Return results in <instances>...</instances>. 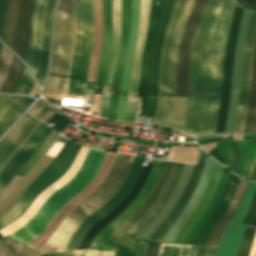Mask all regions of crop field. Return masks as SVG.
Returning a JSON list of instances; mask_svg holds the SVG:
<instances>
[{
    "mask_svg": "<svg viewBox=\"0 0 256 256\" xmlns=\"http://www.w3.org/2000/svg\"><path fill=\"white\" fill-rule=\"evenodd\" d=\"M234 5L209 0L194 37L185 132L215 133L225 46Z\"/></svg>",
    "mask_w": 256,
    "mask_h": 256,
    "instance_id": "obj_1",
    "label": "crop field"
},
{
    "mask_svg": "<svg viewBox=\"0 0 256 256\" xmlns=\"http://www.w3.org/2000/svg\"><path fill=\"white\" fill-rule=\"evenodd\" d=\"M59 0L53 33L52 59L47 82L43 89L46 97L55 100L65 98L83 99L84 87L90 64L94 17L93 0Z\"/></svg>",
    "mask_w": 256,
    "mask_h": 256,
    "instance_id": "obj_2",
    "label": "crop field"
},
{
    "mask_svg": "<svg viewBox=\"0 0 256 256\" xmlns=\"http://www.w3.org/2000/svg\"><path fill=\"white\" fill-rule=\"evenodd\" d=\"M193 4L194 0H174L163 42L158 105L153 125L169 127L175 93L177 49Z\"/></svg>",
    "mask_w": 256,
    "mask_h": 256,
    "instance_id": "obj_3",
    "label": "crop field"
},
{
    "mask_svg": "<svg viewBox=\"0 0 256 256\" xmlns=\"http://www.w3.org/2000/svg\"><path fill=\"white\" fill-rule=\"evenodd\" d=\"M130 157L128 155H116L112 168L102 185L67 215L62 224L60 223L59 228L57 227L58 229L46 243L37 249V252L64 251L79 225L110 200L119 189L131 166Z\"/></svg>",
    "mask_w": 256,
    "mask_h": 256,
    "instance_id": "obj_4",
    "label": "crop field"
},
{
    "mask_svg": "<svg viewBox=\"0 0 256 256\" xmlns=\"http://www.w3.org/2000/svg\"><path fill=\"white\" fill-rule=\"evenodd\" d=\"M81 144L67 140L62 151L51 164L25 189L15 205L0 217V229L24 214L32 201L46 188L60 179L70 168Z\"/></svg>",
    "mask_w": 256,
    "mask_h": 256,
    "instance_id": "obj_5",
    "label": "crop field"
},
{
    "mask_svg": "<svg viewBox=\"0 0 256 256\" xmlns=\"http://www.w3.org/2000/svg\"><path fill=\"white\" fill-rule=\"evenodd\" d=\"M207 0H196L189 20L185 26L177 60L176 97L175 102L187 103L189 61L191 55L192 40L203 14Z\"/></svg>",
    "mask_w": 256,
    "mask_h": 256,
    "instance_id": "obj_6",
    "label": "crop field"
},
{
    "mask_svg": "<svg viewBox=\"0 0 256 256\" xmlns=\"http://www.w3.org/2000/svg\"><path fill=\"white\" fill-rule=\"evenodd\" d=\"M164 163V161H155L154 166L145 185L143 186L139 194L136 196L135 200L131 204H129L117 218H115L113 221H111L98 232L96 237L92 240L89 249H96L109 252L115 251L116 245L112 241H110L106 236L112 233L145 200L150 190L152 189L155 181L157 180Z\"/></svg>",
    "mask_w": 256,
    "mask_h": 256,
    "instance_id": "obj_7",
    "label": "crop field"
},
{
    "mask_svg": "<svg viewBox=\"0 0 256 256\" xmlns=\"http://www.w3.org/2000/svg\"><path fill=\"white\" fill-rule=\"evenodd\" d=\"M243 10H244L243 8H240L237 6L235 8L232 25L229 33V38L226 46L224 68L222 67L223 68L222 88H221L219 110H218V117H217V123H216V133L224 132V128H225L226 113H227V107H228V101H229V95H230L233 57H234L240 18Z\"/></svg>",
    "mask_w": 256,
    "mask_h": 256,
    "instance_id": "obj_8",
    "label": "crop field"
},
{
    "mask_svg": "<svg viewBox=\"0 0 256 256\" xmlns=\"http://www.w3.org/2000/svg\"><path fill=\"white\" fill-rule=\"evenodd\" d=\"M144 160L145 158L141 157L135 158L126 179L124 180L123 184L121 185L117 193L106 205H104L101 209H99L97 212H95L93 215H91L85 220V222L79 227V229L71 238L65 251L77 249L85 233L89 230L90 226L99 219H101L104 215H106L110 210H112L121 202V200L125 197V195L133 186Z\"/></svg>",
    "mask_w": 256,
    "mask_h": 256,
    "instance_id": "obj_9",
    "label": "crop field"
},
{
    "mask_svg": "<svg viewBox=\"0 0 256 256\" xmlns=\"http://www.w3.org/2000/svg\"><path fill=\"white\" fill-rule=\"evenodd\" d=\"M162 2L163 0H153L152 2V8H151V13L149 18L144 52H143L142 69H141V75H140V81H139V87H138V98H142V103H141V99H138L135 115H139L140 103H141L140 115L144 116L145 114L151 50H152V45H153V41H154V37H155L157 25H158Z\"/></svg>",
    "mask_w": 256,
    "mask_h": 256,
    "instance_id": "obj_10",
    "label": "crop field"
},
{
    "mask_svg": "<svg viewBox=\"0 0 256 256\" xmlns=\"http://www.w3.org/2000/svg\"><path fill=\"white\" fill-rule=\"evenodd\" d=\"M173 0H164L161 11L160 21L153 45L152 57H151V69H150V81L148 88V104L145 116L153 117L156 104H157V83H158V71H159V58L160 48L166 26L168 23Z\"/></svg>",
    "mask_w": 256,
    "mask_h": 256,
    "instance_id": "obj_11",
    "label": "crop field"
},
{
    "mask_svg": "<svg viewBox=\"0 0 256 256\" xmlns=\"http://www.w3.org/2000/svg\"><path fill=\"white\" fill-rule=\"evenodd\" d=\"M256 29V13H252V16L248 23L244 56H243V67H242V82L240 87L238 109L235 121L234 132L243 133V119L249 94L250 87V75H251V63L254 46V37Z\"/></svg>",
    "mask_w": 256,
    "mask_h": 256,
    "instance_id": "obj_12",
    "label": "crop field"
},
{
    "mask_svg": "<svg viewBox=\"0 0 256 256\" xmlns=\"http://www.w3.org/2000/svg\"><path fill=\"white\" fill-rule=\"evenodd\" d=\"M152 0H142L139 20L138 37L134 51V65L129 91V102L125 121L133 122L135 107L137 102V87L141 68L142 52L147 28L148 17L150 13Z\"/></svg>",
    "mask_w": 256,
    "mask_h": 256,
    "instance_id": "obj_13",
    "label": "crop field"
},
{
    "mask_svg": "<svg viewBox=\"0 0 256 256\" xmlns=\"http://www.w3.org/2000/svg\"><path fill=\"white\" fill-rule=\"evenodd\" d=\"M141 0H132L131 3V25L127 45L126 64L120 86L119 103L116 120L124 121L128 102V91L130 85L131 70L133 64V51L137 37L139 9Z\"/></svg>",
    "mask_w": 256,
    "mask_h": 256,
    "instance_id": "obj_14",
    "label": "crop field"
},
{
    "mask_svg": "<svg viewBox=\"0 0 256 256\" xmlns=\"http://www.w3.org/2000/svg\"><path fill=\"white\" fill-rule=\"evenodd\" d=\"M51 130L52 129H50L42 122L40 126L35 130L26 145L8 163V165L0 173V193L11 181L13 176L19 171V169L40 147V145L43 143Z\"/></svg>",
    "mask_w": 256,
    "mask_h": 256,
    "instance_id": "obj_15",
    "label": "crop field"
},
{
    "mask_svg": "<svg viewBox=\"0 0 256 256\" xmlns=\"http://www.w3.org/2000/svg\"><path fill=\"white\" fill-rule=\"evenodd\" d=\"M46 0H34V8L30 27L29 44L25 63L36 75L42 43L43 20Z\"/></svg>",
    "mask_w": 256,
    "mask_h": 256,
    "instance_id": "obj_16",
    "label": "crop field"
},
{
    "mask_svg": "<svg viewBox=\"0 0 256 256\" xmlns=\"http://www.w3.org/2000/svg\"><path fill=\"white\" fill-rule=\"evenodd\" d=\"M121 26V0H113V41L110 54V60L104 82L103 98L100 116L107 117L111 84L115 71L116 61L119 50Z\"/></svg>",
    "mask_w": 256,
    "mask_h": 256,
    "instance_id": "obj_17",
    "label": "crop field"
},
{
    "mask_svg": "<svg viewBox=\"0 0 256 256\" xmlns=\"http://www.w3.org/2000/svg\"><path fill=\"white\" fill-rule=\"evenodd\" d=\"M130 23V0H122V26H121V41H120V50L119 58L116 66V71L113 80V87L110 97V106L108 117L115 116L116 107L118 102V93L119 86L122 78L124 63H125V53L126 45L129 31Z\"/></svg>",
    "mask_w": 256,
    "mask_h": 256,
    "instance_id": "obj_18",
    "label": "crop field"
},
{
    "mask_svg": "<svg viewBox=\"0 0 256 256\" xmlns=\"http://www.w3.org/2000/svg\"><path fill=\"white\" fill-rule=\"evenodd\" d=\"M152 164H148L146 165V167H142L138 178L133 186V188L131 189V191L128 193V195L122 200V202L115 207L111 212H109L105 217H103L100 221H98L85 235L84 239L82 240L80 246L78 249H88L89 248V244L91 242V240L94 238V236L96 235V233L103 227L105 226L107 223H109L111 220H113L115 217H117L122 210L133 201V199L135 198V196L138 194V192L141 190L145 180L147 179L150 170L152 168Z\"/></svg>",
    "mask_w": 256,
    "mask_h": 256,
    "instance_id": "obj_19",
    "label": "crop field"
},
{
    "mask_svg": "<svg viewBox=\"0 0 256 256\" xmlns=\"http://www.w3.org/2000/svg\"><path fill=\"white\" fill-rule=\"evenodd\" d=\"M222 169L223 167H221L219 164L217 163L215 164V167L213 168V171L210 177L209 184L207 186V189L199 205L197 206V208L195 209L191 217L188 219V221L184 224V226L178 233L175 243L184 244L193 227L196 225L199 219L204 215L214 195V192L216 190Z\"/></svg>",
    "mask_w": 256,
    "mask_h": 256,
    "instance_id": "obj_20",
    "label": "crop field"
},
{
    "mask_svg": "<svg viewBox=\"0 0 256 256\" xmlns=\"http://www.w3.org/2000/svg\"><path fill=\"white\" fill-rule=\"evenodd\" d=\"M174 163L166 162L163 170L154 185L153 189L151 190L150 194L146 198V200L138 207V209L126 220L124 221L112 234L108 237L117 244L120 237L124 234V232L132 226L152 205L155 201L157 195L159 194L160 190L162 189Z\"/></svg>",
    "mask_w": 256,
    "mask_h": 256,
    "instance_id": "obj_21",
    "label": "crop field"
},
{
    "mask_svg": "<svg viewBox=\"0 0 256 256\" xmlns=\"http://www.w3.org/2000/svg\"><path fill=\"white\" fill-rule=\"evenodd\" d=\"M206 155L204 152H201L198 165L194 167L192 176L180 198L177 205L173 209V211L170 213V215L167 217V219L162 223V225L153 233V235L150 237L152 240H158L161 241L163 236L165 235L168 228L171 226V224L174 222V220L178 217V215L181 213V211L184 209L188 199L190 198L197 182L200 177V174L202 172V169L204 167Z\"/></svg>",
    "mask_w": 256,
    "mask_h": 256,
    "instance_id": "obj_22",
    "label": "crop field"
},
{
    "mask_svg": "<svg viewBox=\"0 0 256 256\" xmlns=\"http://www.w3.org/2000/svg\"><path fill=\"white\" fill-rule=\"evenodd\" d=\"M183 164L176 163L167 182L149 211L137 221L124 235L135 237L139 231L163 208L181 172Z\"/></svg>",
    "mask_w": 256,
    "mask_h": 256,
    "instance_id": "obj_23",
    "label": "crop field"
},
{
    "mask_svg": "<svg viewBox=\"0 0 256 256\" xmlns=\"http://www.w3.org/2000/svg\"><path fill=\"white\" fill-rule=\"evenodd\" d=\"M105 37L100 64L95 80L94 94L102 95L103 82L109 60L112 40V0H103Z\"/></svg>",
    "mask_w": 256,
    "mask_h": 256,
    "instance_id": "obj_24",
    "label": "crop field"
},
{
    "mask_svg": "<svg viewBox=\"0 0 256 256\" xmlns=\"http://www.w3.org/2000/svg\"><path fill=\"white\" fill-rule=\"evenodd\" d=\"M236 177L230 175L228 183L226 185V188L224 190V193L221 197V200H220L216 210L211 215V217L208 219L206 224L203 226V228L201 229L199 234L196 236L193 244L201 245V246L205 245L212 230L219 222L223 212L225 211L226 207L228 206V204L231 200L232 194H233L236 184L238 182V178H236Z\"/></svg>",
    "mask_w": 256,
    "mask_h": 256,
    "instance_id": "obj_25",
    "label": "crop field"
},
{
    "mask_svg": "<svg viewBox=\"0 0 256 256\" xmlns=\"http://www.w3.org/2000/svg\"><path fill=\"white\" fill-rule=\"evenodd\" d=\"M33 0H20L19 17L14 52L25 61Z\"/></svg>",
    "mask_w": 256,
    "mask_h": 256,
    "instance_id": "obj_26",
    "label": "crop field"
},
{
    "mask_svg": "<svg viewBox=\"0 0 256 256\" xmlns=\"http://www.w3.org/2000/svg\"><path fill=\"white\" fill-rule=\"evenodd\" d=\"M247 183H248L247 181H244L241 179L239 180L237 187L235 189V192L233 194L232 200H231L227 210L225 211L223 217L221 218L220 222L218 223L215 230L211 234L206 246L214 247V248L218 247L220 240L223 236V233H224L228 223L232 219V217L242 199V196L245 191Z\"/></svg>",
    "mask_w": 256,
    "mask_h": 256,
    "instance_id": "obj_27",
    "label": "crop field"
},
{
    "mask_svg": "<svg viewBox=\"0 0 256 256\" xmlns=\"http://www.w3.org/2000/svg\"><path fill=\"white\" fill-rule=\"evenodd\" d=\"M55 8V0H47L46 15L44 20V32H43V44L41 50L40 64L37 72V80L42 85L46 73L48 53H49V42L50 33Z\"/></svg>",
    "mask_w": 256,
    "mask_h": 256,
    "instance_id": "obj_28",
    "label": "crop field"
},
{
    "mask_svg": "<svg viewBox=\"0 0 256 256\" xmlns=\"http://www.w3.org/2000/svg\"><path fill=\"white\" fill-rule=\"evenodd\" d=\"M18 8L19 0H7L3 20L2 41L11 49H13L15 41Z\"/></svg>",
    "mask_w": 256,
    "mask_h": 256,
    "instance_id": "obj_29",
    "label": "crop field"
},
{
    "mask_svg": "<svg viewBox=\"0 0 256 256\" xmlns=\"http://www.w3.org/2000/svg\"><path fill=\"white\" fill-rule=\"evenodd\" d=\"M244 227L243 225L230 223L216 256H236Z\"/></svg>",
    "mask_w": 256,
    "mask_h": 256,
    "instance_id": "obj_30",
    "label": "crop field"
},
{
    "mask_svg": "<svg viewBox=\"0 0 256 256\" xmlns=\"http://www.w3.org/2000/svg\"><path fill=\"white\" fill-rule=\"evenodd\" d=\"M256 103V37L252 64V77H251V89L247 103L245 120H244V133H252L253 124V112Z\"/></svg>",
    "mask_w": 256,
    "mask_h": 256,
    "instance_id": "obj_31",
    "label": "crop field"
},
{
    "mask_svg": "<svg viewBox=\"0 0 256 256\" xmlns=\"http://www.w3.org/2000/svg\"><path fill=\"white\" fill-rule=\"evenodd\" d=\"M147 242L123 236L119 241L115 256H143Z\"/></svg>",
    "mask_w": 256,
    "mask_h": 256,
    "instance_id": "obj_32",
    "label": "crop field"
},
{
    "mask_svg": "<svg viewBox=\"0 0 256 256\" xmlns=\"http://www.w3.org/2000/svg\"><path fill=\"white\" fill-rule=\"evenodd\" d=\"M33 117L25 114L23 118L0 140V156L16 141Z\"/></svg>",
    "mask_w": 256,
    "mask_h": 256,
    "instance_id": "obj_33",
    "label": "crop field"
},
{
    "mask_svg": "<svg viewBox=\"0 0 256 256\" xmlns=\"http://www.w3.org/2000/svg\"><path fill=\"white\" fill-rule=\"evenodd\" d=\"M42 254L33 252L11 238L5 236L0 243V256H41Z\"/></svg>",
    "mask_w": 256,
    "mask_h": 256,
    "instance_id": "obj_34",
    "label": "crop field"
},
{
    "mask_svg": "<svg viewBox=\"0 0 256 256\" xmlns=\"http://www.w3.org/2000/svg\"><path fill=\"white\" fill-rule=\"evenodd\" d=\"M24 66L22 63L14 56L12 66L10 69L9 76L3 86L0 89L2 93H12L20 81Z\"/></svg>",
    "mask_w": 256,
    "mask_h": 256,
    "instance_id": "obj_35",
    "label": "crop field"
},
{
    "mask_svg": "<svg viewBox=\"0 0 256 256\" xmlns=\"http://www.w3.org/2000/svg\"><path fill=\"white\" fill-rule=\"evenodd\" d=\"M255 188H256V184H253V183H248L247 185V188H246V191L244 193V196H243V199L241 201V204L238 208V210L236 211L233 219L231 220V222L233 223H238L240 224L248 207H249V204H250V201L252 199V196L254 194V191H255Z\"/></svg>",
    "mask_w": 256,
    "mask_h": 256,
    "instance_id": "obj_36",
    "label": "crop field"
},
{
    "mask_svg": "<svg viewBox=\"0 0 256 256\" xmlns=\"http://www.w3.org/2000/svg\"><path fill=\"white\" fill-rule=\"evenodd\" d=\"M34 101L32 98L26 97L7 117V119L0 126V137L6 132V130L20 117V115L29 107Z\"/></svg>",
    "mask_w": 256,
    "mask_h": 256,
    "instance_id": "obj_37",
    "label": "crop field"
},
{
    "mask_svg": "<svg viewBox=\"0 0 256 256\" xmlns=\"http://www.w3.org/2000/svg\"><path fill=\"white\" fill-rule=\"evenodd\" d=\"M192 246L161 243L157 256H189Z\"/></svg>",
    "mask_w": 256,
    "mask_h": 256,
    "instance_id": "obj_38",
    "label": "crop field"
},
{
    "mask_svg": "<svg viewBox=\"0 0 256 256\" xmlns=\"http://www.w3.org/2000/svg\"><path fill=\"white\" fill-rule=\"evenodd\" d=\"M12 57L13 54L2 45L0 54V86L7 78L12 62Z\"/></svg>",
    "mask_w": 256,
    "mask_h": 256,
    "instance_id": "obj_39",
    "label": "crop field"
},
{
    "mask_svg": "<svg viewBox=\"0 0 256 256\" xmlns=\"http://www.w3.org/2000/svg\"><path fill=\"white\" fill-rule=\"evenodd\" d=\"M255 232L256 228L248 226L245 227L237 256H248Z\"/></svg>",
    "mask_w": 256,
    "mask_h": 256,
    "instance_id": "obj_40",
    "label": "crop field"
},
{
    "mask_svg": "<svg viewBox=\"0 0 256 256\" xmlns=\"http://www.w3.org/2000/svg\"><path fill=\"white\" fill-rule=\"evenodd\" d=\"M248 142L238 141L231 171L240 174L247 151Z\"/></svg>",
    "mask_w": 256,
    "mask_h": 256,
    "instance_id": "obj_41",
    "label": "crop field"
},
{
    "mask_svg": "<svg viewBox=\"0 0 256 256\" xmlns=\"http://www.w3.org/2000/svg\"><path fill=\"white\" fill-rule=\"evenodd\" d=\"M255 156H256V142H249L245 163H244L242 172L240 174L241 176L248 178L255 160Z\"/></svg>",
    "mask_w": 256,
    "mask_h": 256,
    "instance_id": "obj_42",
    "label": "crop field"
},
{
    "mask_svg": "<svg viewBox=\"0 0 256 256\" xmlns=\"http://www.w3.org/2000/svg\"><path fill=\"white\" fill-rule=\"evenodd\" d=\"M21 96H11L0 108V124L12 112V110L24 99Z\"/></svg>",
    "mask_w": 256,
    "mask_h": 256,
    "instance_id": "obj_43",
    "label": "crop field"
},
{
    "mask_svg": "<svg viewBox=\"0 0 256 256\" xmlns=\"http://www.w3.org/2000/svg\"><path fill=\"white\" fill-rule=\"evenodd\" d=\"M33 82L34 81L32 77L30 76L29 72L25 68L24 73L22 75V79L18 84V86L16 87L14 93H21V94L28 95L32 88Z\"/></svg>",
    "mask_w": 256,
    "mask_h": 256,
    "instance_id": "obj_44",
    "label": "crop field"
},
{
    "mask_svg": "<svg viewBox=\"0 0 256 256\" xmlns=\"http://www.w3.org/2000/svg\"><path fill=\"white\" fill-rule=\"evenodd\" d=\"M229 175H230V173H229V172H226L223 185H222V187H221V189H220V191H219V193H218V195H217V198H216V200H215V202H214V204H213L211 210L209 211V213H208V215L206 216L205 220L202 222V224H201V225L199 226V228L196 230V232H195V234L193 235V237L191 238L189 244L192 243V241H193V239L195 238V236L198 234V232L200 231V229L202 228V226L204 225V223L207 221V219L209 218V216H210V215L212 214V212L214 211V209H215V207H216V205H217V203H218V201H219V199H220V197H221V195H222V193H223V190H224V188H225V185H226V182H227V180H228Z\"/></svg>",
    "mask_w": 256,
    "mask_h": 256,
    "instance_id": "obj_45",
    "label": "crop field"
},
{
    "mask_svg": "<svg viewBox=\"0 0 256 256\" xmlns=\"http://www.w3.org/2000/svg\"><path fill=\"white\" fill-rule=\"evenodd\" d=\"M39 120L37 119H33V121L30 123V125L27 127V129L23 132V134L18 138V140L12 145V147L6 152L4 153L1 157H0V162L14 149L16 148L21 141L26 137V135L29 133V131L35 126V124L38 122ZM1 164V163H0Z\"/></svg>",
    "mask_w": 256,
    "mask_h": 256,
    "instance_id": "obj_46",
    "label": "crop field"
},
{
    "mask_svg": "<svg viewBox=\"0 0 256 256\" xmlns=\"http://www.w3.org/2000/svg\"><path fill=\"white\" fill-rule=\"evenodd\" d=\"M216 249L193 246L190 256H214Z\"/></svg>",
    "mask_w": 256,
    "mask_h": 256,
    "instance_id": "obj_47",
    "label": "crop field"
},
{
    "mask_svg": "<svg viewBox=\"0 0 256 256\" xmlns=\"http://www.w3.org/2000/svg\"><path fill=\"white\" fill-rule=\"evenodd\" d=\"M225 172H226V170L223 169L222 176H221L220 182H219V184H218L216 193H215V195H214V197H213V199H212V201H211V203H210V205H209V207H208V210H207L206 214L200 219V221L198 222V224L196 225V227L194 228V230L192 231V233H191L190 236L188 237V239H187V241H186L185 244H188V242H189L190 238L192 237L193 233L195 232V230L198 228V226L201 224V222L204 220L205 216L207 215V213H208V211H209V209H210V207H211V205H212V203H213V201H214V199H215V197H216V195H217V193H218V191H219V189H220V187H221V185H222Z\"/></svg>",
    "mask_w": 256,
    "mask_h": 256,
    "instance_id": "obj_48",
    "label": "crop field"
},
{
    "mask_svg": "<svg viewBox=\"0 0 256 256\" xmlns=\"http://www.w3.org/2000/svg\"><path fill=\"white\" fill-rule=\"evenodd\" d=\"M65 142H66V139L59 136V138L56 140V142L53 144V146L47 152V155H51V156L55 157Z\"/></svg>",
    "mask_w": 256,
    "mask_h": 256,
    "instance_id": "obj_49",
    "label": "crop field"
},
{
    "mask_svg": "<svg viewBox=\"0 0 256 256\" xmlns=\"http://www.w3.org/2000/svg\"><path fill=\"white\" fill-rule=\"evenodd\" d=\"M159 244L160 243L149 241L144 256H156Z\"/></svg>",
    "mask_w": 256,
    "mask_h": 256,
    "instance_id": "obj_50",
    "label": "crop field"
},
{
    "mask_svg": "<svg viewBox=\"0 0 256 256\" xmlns=\"http://www.w3.org/2000/svg\"><path fill=\"white\" fill-rule=\"evenodd\" d=\"M45 107L46 106L43 104V102L40 99H38L37 102L28 111V113L36 117L38 113Z\"/></svg>",
    "mask_w": 256,
    "mask_h": 256,
    "instance_id": "obj_51",
    "label": "crop field"
},
{
    "mask_svg": "<svg viewBox=\"0 0 256 256\" xmlns=\"http://www.w3.org/2000/svg\"><path fill=\"white\" fill-rule=\"evenodd\" d=\"M224 135L197 138L198 144L222 140Z\"/></svg>",
    "mask_w": 256,
    "mask_h": 256,
    "instance_id": "obj_52",
    "label": "crop field"
},
{
    "mask_svg": "<svg viewBox=\"0 0 256 256\" xmlns=\"http://www.w3.org/2000/svg\"><path fill=\"white\" fill-rule=\"evenodd\" d=\"M56 114V113H55ZM53 115L46 123H50L51 121L54 122L55 124H57L58 126H62L63 124H65L67 121L57 115Z\"/></svg>",
    "mask_w": 256,
    "mask_h": 256,
    "instance_id": "obj_53",
    "label": "crop field"
},
{
    "mask_svg": "<svg viewBox=\"0 0 256 256\" xmlns=\"http://www.w3.org/2000/svg\"><path fill=\"white\" fill-rule=\"evenodd\" d=\"M99 251H93V250H86L85 256H97ZM112 253L107 252H99L98 256H113Z\"/></svg>",
    "mask_w": 256,
    "mask_h": 256,
    "instance_id": "obj_54",
    "label": "crop field"
},
{
    "mask_svg": "<svg viewBox=\"0 0 256 256\" xmlns=\"http://www.w3.org/2000/svg\"><path fill=\"white\" fill-rule=\"evenodd\" d=\"M6 0H0V39H1V31H2V20H3V12L5 7Z\"/></svg>",
    "mask_w": 256,
    "mask_h": 256,
    "instance_id": "obj_55",
    "label": "crop field"
},
{
    "mask_svg": "<svg viewBox=\"0 0 256 256\" xmlns=\"http://www.w3.org/2000/svg\"><path fill=\"white\" fill-rule=\"evenodd\" d=\"M236 144H237V142H232V144H231V155H230V160H229V164L227 167L229 169H231V165H232V161H233V157H234V153H235V149H236Z\"/></svg>",
    "mask_w": 256,
    "mask_h": 256,
    "instance_id": "obj_56",
    "label": "crop field"
},
{
    "mask_svg": "<svg viewBox=\"0 0 256 256\" xmlns=\"http://www.w3.org/2000/svg\"><path fill=\"white\" fill-rule=\"evenodd\" d=\"M229 155H230V142H227V144H226V157H225L224 166H227Z\"/></svg>",
    "mask_w": 256,
    "mask_h": 256,
    "instance_id": "obj_57",
    "label": "crop field"
},
{
    "mask_svg": "<svg viewBox=\"0 0 256 256\" xmlns=\"http://www.w3.org/2000/svg\"><path fill=\"white\" fill-rule=\"evenodd\" d=\"M249 180L256 181V160H255L252 172H251V174L249 176Z\"/></svg>",
    "mask_w": 256,
    "mask_h": 256,
    "instance_id": "obj_58",
    "label": "crop field"
},
{
    "mask_svg": "<svg viewBox=\"0 0 256 256\" xmlns=\"http://www.w3.org/2000/svg\"><path fill=\"white\" fill-rule=\"evenodd\" d=\"M255 254H256V235H255L254 242H253L249 256H255Z\"/></svg>",
    "mask_w": 256,
    "mask_h": 256,
    "instance_id": "obj_59",
    "label": "crop field"
},
{
    "mask_svg": "<svg viewBox=\"0 0 256 256\" xmlns=\"http://www.w3.org/2000/svg\"><path fill=\"white\" fill-rule=\"evenodd\" d=\"M85 250L74 251L70 253V256H83Z\"/></svg>",
    "mask_w": 256,
    "mask_h": 256,
    "instance_id": "obj_60",
    "label": "crop field"
},
{
    "mask_svg": "<svg viewBox=\"0 0 256 256\" xmlns=\"http://www.w3.org/2000/svg\"><path fill=\"white\" fill-rule=\"evenodd\" d=\"M253 133H256V107H255V112H254Z\"/></svg>",
    "mask_w": 256,
    "mask_h": 256,
    "instance_id": "obj_61",
    "label": "crop field"
},
{
    "mask_svg": "<svg viewBox=\"0 0 256 256\" xmlns=\"http://www.w3.org/2000/svg\"><path fill=\"white\" fill-rule=\"evenodd\" d=\"M10 96H0V106L9 98Z\"/></svg>",
    "mask_w": 256,
    "mask_h": 256,
    "instance_id": "obj_62",
    "label": "crop field"
},
{
    "mask_svg": "<svg viewBox=\"0 0 256 256\" xmlns=\"http://www.w3.org/2000/svg\"><path fill=\"white\" fill-rule=\"evenodd\" d=\"M49 109L46 107L38 116L37 118H41Z\"/></svg>",
    "mask_w": 256,
    "mask_h": 256,
    "instance_id": "obj_63",
    "label": "crop field"
},
{
    "mask_svg": "<svg viewBox=\"0 0 256 256\" xmlns=\"http://www.w3.org/2000/svg\"><path fill=\"white\" fill-rule=\"evenodd\" d=\"M69 253H70V252H67V253H60V254H57L56 256H69Z\"/></svg>",
    "mask_w": 256,
    "mask_h": 256,
    "instance_id": "obj_64",
    "label": "crop field"
},
{
    "mask_svg": "<svg viewBox=\"0 0 256 256\" xmlns=\"http://www.w3.org/2000/svg\"><path fill=\"white\" fill-rule=\"evenodd\" d=\"M233 135H225L224 139H232Z\"/></svg>",
    "mask_w": 256,
    "mask_h": 256,
    "instance_id": "obj_65",
    "label": "crop field"
},
{
    "mask_svg": "<svg viewBox=\"0 0 256 256\" xmlns=\"http://www.w3.org/2000/svg\"><path fill=\"white\" fill-rule=\"evenodd\" d=\"M252 136L243 135V139H251Z\"/></svg>",
    "mask_w": 256,
    "mask_h": 256,
    "instance_id": "obj_66",
    "label": "crop field"
},
{
    "mask_svg": "<svg viewBox=\"0 0 256 256\" xmlns=\"http://www.w3.org/2000/svg\"><path fill=\"white\" fill-rule=\"evenodd\" d=\"M252 226L256 227V218H255V221H254Z\"/></svg>",
    "mask_w": 256,
    "mask_h": 256,
    "instance_id": "obj_67",
    "label": "crop field"
},
{
    "mask_svg": "<svg viewBox=\"0 0 256 256\" xmlns=\"http://www.w3.org/2000/svg\"><path fill=\"white\" fill-rule=\"evenodd\" d=\"M252 140H256V136H253Z\"/></svg>",
    "mask_w": 256,
    "mask_h": 256,
    "instance_id": "obj_68",
    "label": "crop field"
},
{
    "mask_svg": "<svg viewBox=\"0 0 256 256\" xmlns=\"http://www.w3.org/2000/svg\"><path fill=\"white\" fill-rule=\"evenodd\" d=\"M43 256H50V255H43Z\"/></svg>",
    "mask_w": 256,
    "mask_h": 256,
    "instance_id": "obj_69",
    "label": "crop field"
},
{
    "mask_svg": "<svg viewBox=\"0 0 256 256\" xmlns=\"http://www.w3.org/2000/svg\"><path fill=\"white\" fill-rule=\"evenodd\" d=\"M0 45H1V43H0Z\"/></svg>",
    "mask_w": 256,
    "mask_h": 256,
    "instance_id": "obj_70",
    "label": "crop field"
}]
</instances>
